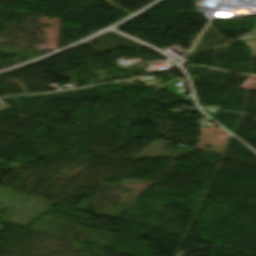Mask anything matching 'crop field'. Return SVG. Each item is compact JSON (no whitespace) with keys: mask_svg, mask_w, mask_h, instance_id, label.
<instances>
[{"mask_svg":"<svg viewBox=\"0 0 256 256\" xmlns=\"http://www.w3.org/2000/svg\"><path fill=\"white\" fill-rule=\"evenodd\" d=\"M253 35H256V32H254L253 34H251V35H249V36H253ZM249 36H247V37H249Z\"/></svg>","mask_w":256,"mask_h":256,"instance_id":"obj_3","label":"crop field"},{"mask_svg":"<svg viewBox=\"0 0 256 256\" xmlns=\"http://www.w3.org/2000/svg\"><path fill=\"white\" fill-rule=\"evenodd\" d=\"M246 45L250 48L251 52H253V56H256V37L246 39Z\"/></svg>","mask_w":256,"mask_h":256,"instance_id":"obj_2","label":"crop field"},{"mask_svg":"<svg viewBox=\"0 0 256 256\" xmlns=\"http://www.w3.org/2000/svg\"><path fill=\"white\" fill-rule=\"evenodd\" d=\"M240 88L256 90V77H250Z\"/></svg>","mask_w":256,"mask_h":256,"instance_id":"obj_1","label":"crop field"}]
</instances>
